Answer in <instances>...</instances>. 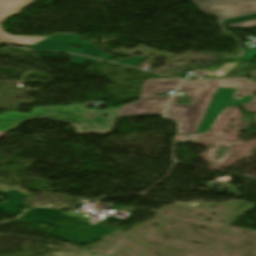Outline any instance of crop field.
<instances>
[{
    "label": "crop field",
    "instance_id": "obj_1",
    "mask_svg": "<svg viewBox=\"0 0 256 256\" xmlns=\"http://www.w3.org/2000/svg\"><path fill=\"white\" fill-rule=\"evenodd\" d=\"M119 109L102 111H87L83 106L68 107H39L34 108L31 114L9 112L0 115V131H7L18 126L22 121L34 118L54 119L70 123L78 134L109 133L116 119ZM102 114L110 115L102 118Z\"/></svg>",
    "mask_w": 256,
    "mask_h": 256
},
{
    "label": "crop field",
    "instance_id": "obj_2",
    "mask_svg": "<svg viewBox=\"0 0 256 256\" xmlns=\"http://www.w3.org/2000/svg\"><path fill=\"white\" fill-rule=\"evenodd\" d=\"M218 86L256 89V83L247 79L241 80H209V81H182L178 90L188 91L192 98L189 106L178 105V96H173L168 105L165 117L180 122L179 134H194Z\"/></svg>",
    "mask_w": 256,
    "mask_h": 256
},
{
    "label": "crop field",
    "instance_id": "obj_3",
    "mask_svg": "<svg viewBox=\"0 0 256 256\" xmlns=\"http://www.w3.org/2000/svg\"><path fill=\"white\" fill-rule=\"evenodd\" d=\"M178 79H152L144 82L139 101L120 108L118 116L163 114L170 97H154L167 90H176Z\"/></svg>",
    "mask_w": 256,
    "mask_h": 256
},
{
    "label": "crop field",
    "instance_id": "obj_4",
    "mask_svg": "<svg viewBox=\"0 0 256 256\" xmlns=\"http://www.w3.org/2000/svg\"><path fill=\"white\" fill-rule=\"evenodd\" d=\"M85 46V48H70L72 44ZM33 50L37 51H62L73 52L82 55L93 56L105 60H109L113 55L105 54L96 45L80 39L77 35L56 34L48 39L31 45ZM111 60V59H110Z\"/></svg>",
    "mask_w": 256,
    "mask_h": 256
},
{
    "label": "crop field",
    "instance_id": "obj_5",
    "mask_svg": "<svg viewBox=\"0 0 256 256\" xmlns=\"http://www.w3.org/2000/svg\"><path fill=\"white\" fill-rule=\"evenodd\" d=\"M206 14L219 19L256 12V0H193Z\"/></svg>",
    "mask_w": 256,
    "mask_h": 256
},
{
    "label": "crop field",
    "instance_id": "obj_6",
    "mask_svg": "<svg viewBox=\"0 0 256 256\" xmlns=\"http://www.w3.org/2000/svg\"><path fill=\"white\" fill-rule=\"evenodd\" d=\"M34 0H0V24L4 19L21 11ZM48 37L38 36H11L0 27V43L7 45H31Z\"/></svg>",
    "mask_w": 256,
    "mask_h": 256
},
{
    "label": "crop field",
    "instance_id": "obj_7",
    "mask_svg": "<svg viewBox=\"0 0 256 256\" xmlns=\"http://www.w3.org/2000/svg\"><path fill=\"white\" fill-rule=\"evenodd\" d=\"M235 90L231 88H219L197 132L203 133L208 130L216 117L227 105L236 106L251 102L253 97L250 96H244L241 100L234 99L232 96Z\"/></svg>",
    "mask_w": 256,
    "mask_h": 256
},
{
    "label": "crop field",
    "instance_id": "obj_8",
    "mask_svg": "<svg viewBox=\"0 0 256 256\" xmlns=\"http://www.w3.org/2000/svg\"><path fill=\"white\" fill-rule=\"evenodd\" d=\"M223 25H230L231 27H255L256 26V14L246 15L230 20L222 21Z\"/></svg>",
    "mask_w": 256,
    "mask_h": 256
},
{
    "label": "crop field",
    "instance_id": "obj_9",
    "mask_svg": "<svg viewBox=\"0 0 256 256\" xmlns=\"http://www.w3.org/2000/svg\"><path fill=\"white\" fill-rule=\"evenodd\" d=\"M85 60L95 62V63L99 62V60H95V59H91L83 56L71 55V64H83Z\"/></svg>",
    "mask_w": 256,
    "mask_h": 256
},
{
    "label": "crop field",
    "instance_id": "obj_10",
    "mask_svg": "<svg viewBox=\"0 0 256 256\" xmlns=\"http://www.w3.org/2000/svg\"><path fill=\"white\" fill-rule=\"evenodd\" d=\"M143 60H145L144 57H133V58H129V59L119 61V62H116V63L135 66V65L139 64L140 62H142Z\"/></svg>",
    "mask_w": 256,
    "mask_h": 256
},
{
    "label": "crop field",
    "instance_id": "obj_11",
    "mask_svg": "<svg viewBox=\"0 0 256 256\" xmlns=\"http://www.w3.org/2000/svg\"><path fill=\"white\" fill-rule=\"evenodd\" d=\"M256 55V48L249 51L246 55H244L239 61L249 63L252 61L253 57Z\"/></svg>",
    "mask_w": 256,
    "mask_h": 256
},
{
    "label": "crop field",
    "instance_id": "obj_12",
    "mask_svg": "<svg viewBox=\"0 0 256 256\" xmlns=\"http://www.w3.org/2000/svg\"><path fill=\"white\" fill-rule=\"evenodd\" d=\"M248 113L256 111V97L253 98L252 102L246 105H242Z\"/></svg>",
    "mask_w": 256,
    "mask_h": 256
},
{
    "label": "crop field",
    "instance_id": "obj_13",
    "mask_svg": "<svg viewBox=\"0 0 256 256\" xmlns=\"http://www.w3.org/2000/svg\"><path fill=\"white\" fill-rule=\"evenodd\" d=\"M5 134H7V132H0V137L4 136Z\"/></svg>",
    "mask_w": 256,
    "mask_h": 256
}]
</instances>
